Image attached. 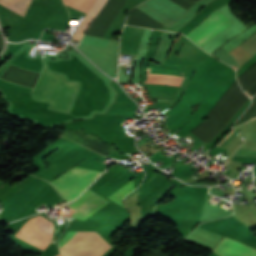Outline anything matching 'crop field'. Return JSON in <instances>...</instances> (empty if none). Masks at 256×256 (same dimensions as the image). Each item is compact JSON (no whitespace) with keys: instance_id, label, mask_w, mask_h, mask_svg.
Masks as SVG:
<instances>
[{"instance_id":"3","label":"crop field","mask_w":256,"mask_h":256,"mask_svg":"<svg viewBox=\"0 0 256 256\" xmlns=\"http://www.w3.org/2000/svg\"><path fill=\"white\" fill-rule=\"evenodd\" d=\"M100 174V172L73 167L50 183L69 202L74 200Z\"/></svg>"},{"instance_id":"4","label":"crop field","mask_w":256,"mask_h":256,"mask_svg":"<svg viewBox=\"0 0 256 256\" xmlns=\"http://www.w3.org/2000/svg\"><path fill=\"white\" fill-rule=\"evenodd\" d=\"M53 231L52 222L39 215L28 220L15 236L44 250L52 239Z\"/></svg>"},{"instance_id":"12","label":"crop field","mask_w":256,"mask_h":256,"mask_svg":"<svg viewBox=\"0 0 256 256\" xmlns=\"http://www.w3.org/2000/svg\"><path fill=\"white\" fill-rule=\"evenodd\" d=\"M244 125L245 124L233 129L232 130L233 132L231 131L232 133L230 132L231 134L229 133L230 135L228 134L229 136L227 135L228 137L226 136L227 138L225 137L226 139L224 138L225 140L223 139L224 141L222 140L223 142L221 141L222 143L220 142L221 144L220 143H219L220 145L218 144L219 147L225 148L227 146V144L231 141V139L237 134V132L243 128Z\"/></svg>"},{"instance_id":"5","label":"crop field","mask_w":256,"mask_h":256,"mask_svg":"<svg viewBox=\"0 0 256 256\" xmlns=\"http://www.w3.org/2000/svg\"><path fill=\"white\" fill-rule=\"evenodd\" d=\"M225 15H223L218 10L214 11L208 18H206L200 25L190 31L186 36L191 40H196L202 34H204L207 30L213 27L219 20H221ZM233 22L229 20L226 16L219 21L213 28H211L208 32L198 38L195 43H197L200 47L228 27Z\"/></svg>"},{"instance_id":"1","label":"crop field","mask_w":256,"mask_h":256,"mask_svg":"<svg viewBox=\"0 0 256 256\" xmlns=\"http://www.w3.org/2000/svg\"><path fill=\"white\" fill-rule=\"evenodd\" d=\"M72 231H68L60 244ZM112 246L96 232L73 231L60 245L62 256H102Z\"/></svg>"},{"instance_id":"8","label":"crop field","mask_w":256,"mask_h":256,"mask_svg":"<svg viewBox=\"0 0 256 256\" xmlns=\"http://www.w3.org/2000/svg\"><path fill=\"white\" fill-rule=\"evenodd\" d=\"M106 0H96L92 8L90 9L89 13L81 23L80 27L78 28L77 32L73 35V40H80L85 30L88 28L89 24L93 20L94 16L98 13V11L102 8L105 4Z\"/></svg>"},{"instance_id":"7","label":"crop field","mask_w":256,"mask_h":256,"mask_svg":"<svg viewBox=\"0 0 256 256\" xmlns=\"http://www.w3.org/2000/svg\"><path fill=\"white\" fill-rule=\"evenodd\" d=\"M249 248V246L224 237L214 252L221 256H241ZM242 256H256V251L250 248Z\"/></svg>"},{"instance_id":"14","label":"crop field","mask_w":256,"mask_h":256,"mask_svg":"<svg viewBox=\"0 0 256 256\" xmlns=\"http://www.w3.org/2000/svg\"><path fill=\"white\" fill-rule=\"evenodd\" d=\"M250 104V100L234 115L228 126H230L240 115L241 113L246 109V107Z\"/></svg>"},{"instance_id":"10","label":"crop field","mask_w":256,"mask_h":256,"mask_svg":"<svg viewBox=\"0 0 256 256\" xmlns=\"http://www.w3.org/2000/svg\"><path fill=\"white\" fill-rule=\"evenodd\" d=\"M94 0H64V3L66 5L84 10L88 12V10L91 8Z\"/></svg>"},{"instance_id":"15","label":"crop field","mask_w":256,"mask_h":256,"mask_svg":"<svg viewBox=\"0 0 256 256\" xmlns=\"http://www.w3.org/2000/svg\"><path fill=\"white\" fill-rule=\"evenodd\" d=\"M187 135L188 136H190L191 138H193L195 141H194V143H196V144H201L203 141H201L199 138H197L196 136H194L192 133H187Z\"/></svg>"},{"instance_id":"13","label":"crop field","mask_w":256,"mask_h":256,"mask_svg":"<svg viewBox=\"0 0 256 256\" xmlns=\"http://www.w3.org/2000/svg\"><path fill=\"white\" fill-rule=\"evenodd\" d=\"M31 1L32 0H26V2H25V0H11L10 3H9V6H13V7L21 9L23 4H24V2H25V4H24L22 9L27 11Z\"/></svg>"},{"instance_id":"9","label":"crop field","mask_w":256,"mask_h":256,"mask_svg":"<svg viewBox=\"0 0 256 256\" xmlns=\"http://www.w3.org/2000/svg\"><path fill=\"white\" fill-rule=\"evenodd\" d=\"M132 190H134L133 181L128 182L127 184L122 186L120 189H118L116 192H114L108 198L124 207L123 202H122L123 196L129 194Z\"/></svg>"},{"instance_id":"11","label":"crop field","mask_w":256,"mask_h":256,"mask_svg":"<svg viewBox=\"0 0 256 256\" xmlns=\"http://www.w3.org/2000/svg\"><path fill=\"white\" fill-rule=\"evenodd\" d=\"M147 74H149V69H147ZM175 78L176 77L147 76V83L173 85Z\"/></svg>"},{"instance_id":"17","label":"crop field","mask_w":256,"mask_h":256,"mask_svg":"<svg viewBox=\"0 0 256 256\" xmlns=\"http://www.w3.org/2000/svg\"><path fill=\"white\" fill-rule=\"evenodd\" d=\"M57 256H61V255L59 254V255H57Z\"/></svg>"},{"instance_id":"2","label":"crop field","mask_w":256,"mask_h":256,"mask_svg":"<svg viewBox=\"0 0 256 256\" xmlns=\"http://www.w3.org/2000/svg\"><path fill=\"white\" fill-rule=\"evenodd\" d=\"M60 77L61 75L53 74L44 70L34 90V97L40 100L52 101ZM76 84L77 83L65 82L62 76L50 108L67 111L70 99L75 91Z\"/></svg>"},{"instance_id":"16","label":"crop field","mask_w":256,"mask_h":256,"mask_svg":"<svg viewBox=\"0 0 256 256\" xmlns=\"http://www.w3.org/2000/svg\"><path fill=\"white\" fill-rule=\"evenodd\" d=\"M8 2H9V0H0V3H2V4H8Z\"/></svg>"},{"instance_id":"6","label":"crop field","mask_w":256,"mask_h":256,"mask_svg":"<svg viewBox=\"0 0 256 256\" xmlns=\"http://www.w3.org/2000/svg\"><path fill=\"white\" fill-rule=\"evenodd\" d=\"M106 203H108L107 200L88 189L69 208L77 211L73 217L84 221Z\"/></svg>"}]
</instances>
